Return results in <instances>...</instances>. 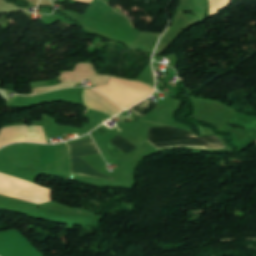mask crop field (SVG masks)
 Masks as SVG:
<instances>
[{
  "label": "crop field",
  "mask_w": 256,
  "mask_h": 256,
  "mask_svg": "<svg viewBox=\"0 0 256 256\" xmlns=\"http://www.w3.org/2000/svg\"><path fill=\"white\" fill-rule=\"evenodd\" d=\"M148 142L156 149L180 146L211 149L224 147L215 135L197 138L193 133L172 127L149 128Z\"/></svg>",
  "instance_id": "crop-field-1"
},
{
  "label": "crop field",
  "mask_w": 256,
  "mask_h": 256,
  "mask_svg": "<svg viewBox=\"0 0 256 256\" xmlns=\"http://www.w3.org/2000/svg\"><path fill=\"white\" fill-rule=\"evenodd\" d=\"M94 89L109 96L125 109L152 94L154 90L153 87L143 82L128 81L113 76L108 85L95 87Z\"/></svg>",
  "instance_id": "crop-field-2"
},
{
  "label": "crop field",
  "mask_w": 256,
  "mask_h": 256,
  "mask_svg": "<svg viewBox=\"0 0 256 256\" xmlns=\"http://www.w3.org/2000/svg\"><path fill=\"white\" fill-rule=\"evenodd\" d=\"M67 146L71 154L72 174L109 179V178H106L107 176L104 177L105 175L102 176L103 174L100 175L92 167L86 164L87 162L85 163L79 157V156L99 153L97 147L95 146L91 138L83 141L75 142L72 144H68Z\"/></svg>",
  "instance_id": "crop-field-3"
},
{
  "label": "crop field",
  "mask_w": 256,
  "mask_h": 256,
  "mask_svg": "<svg viewBox=\"0 0 256 256\" xmlns=\"http://www.w3.org/2000/svg\"><path fill=\"white\" fill-rule=\"evenodd\" d=\"M82 98L86 108L107 112L112 115L122 111L112 100L91 88L84 90Z\"/></svg>",
  "instance_id": "crop-field-4"
},
{
  "label": "crop field",
  "mask_w": 256,
  "mask_h": 256,
  "mask_svg": "<svg viewBox=\"0 0 256 256\" xmlns=\"http://www.w3.org/2000/svg\"><path fill=\"white\" fill-rule=\"evenodd\" d=\"M110 142L113 143L116 147H118L124 153L130 152L137 148L119 134L115 138H113Z\"/></svg>",
  "instance_id": "crop-field-5"
},
{
  "label": "crop field",
  "mask_w": 256,
  "mask_h": 256,
  "mask_svg": "<svg viewBox=\"0 0 256 256\" xmlns=\"http://www.w3.org/2000/svg\"><path fill=\"white\" fill-rule=\"evenodd\" d=\"M156 105H157V103L146 100L129 110L135 112L136 114H138L139 116L142 117L145 114L152 111L154 108H156Z\"/></svg>",
  "instance_id": "crop-field-6"
}]
</instances>
